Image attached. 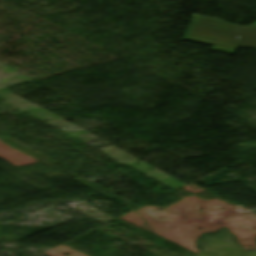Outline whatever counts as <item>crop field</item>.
<instances>
[{"mask_svg": "<svg viewBox=\"0 0 256 256\" xmlns=\"http://www.w3.org/2000/svg\"><path fill=\"white\" fill-rule=\"evenodd\" d=\"M185 39L214 45V51L235 54L238 46L256 49V26H234L224 20L194 15ZM240 37V39H236Z\"/></svg>", "mask_w": 256, "mask_h": 256, "instance_id": "8a807250", "label": "crop field"}]
</instances>
